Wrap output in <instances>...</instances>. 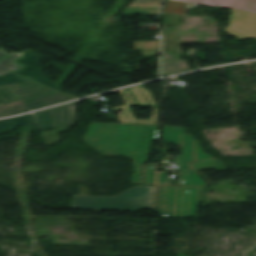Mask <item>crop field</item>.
<instances>
[{
	"label": "crop field",
	"mask_w": 256,
	"mask_h": 256,
	"mask_svg": "<svg viewBox=\"0 0 256 256\" xmlns=\"http://www.w3.org/2000/svg\"><path fill=\"white\" fill-rule=\"evenodd\" d=\"M159 126L133 124H91L84 141L105 155H123L134 159L132 183L142 184V166L152 141L158 139Z\"/></svg>",
	"instance_id": "1"
},
{
	"label": "crop field",
	"mask_w": 256,
	"mask_h": 256,
	"mask_svg": "<svg viewBox=\"0 0 256 256\" xmlns=\"http://www.w3.org/2000/svg\"><path fill=\"white\" fill-rule=\"evenodd\" d=\"M155 186H137L113 197L75 196L72 209L136 211L152 208Z\"/></svg>",
	"instance_id": "2"
},
{
	"label": "crop field",
	"mask_w": 256,
	"mask_h": 256,
	"mask_svg": "<svg viewBox=\"0 0 256 256\" xmlns=\"http://www.w3.org/2000/svg\"><path fill=\"white\" fill-rule=\"evenodd\" d=\"M205 188L159 187V217H197Z\"/></svg>",
	"instance_id": "3"
},
{
	"label": "crop field",
	"mask_w": 256,
	"mask_h": 256,
	"mask_svg": "<svg viewBox=\"0 0 256 256\" xmlns=\"http://www.w3.org/2000/svg\"><path fill=\"white\" fill-rule=\"evenodd\" d=\"M163 140L183 148L177 158L183 186H206L188 163L194 162V135L185 133V128L164 127Z\"/></svg>",
	"instance_id": "4"
},
{
	"label": "crop field",
	"mask_w": 256,
	"mask_h": 256,
	"mask_svg": "<svg viewBox=\"0 0 256 256\" xmlns=\"http://www.w3.org/2000/svg\"><path fill=\"white\" fill-rule=\"evenodd\" d=\"M70 98L72 97L61 95L55 91L48 92L2 106L0 107V116L25 112L30 109L44 107Z\"/></svg>",
	"instance_id": "5"
},
{
	"label": "crop field",
	"mask_w": 256,
	"mask_h": 256,
	"mask_svg": "<svg viewBox=\"0 0 256 256\" xmlns=\"http://www.w3.org/2000/svg\"><path fill=\"white\" fill-rule=\"evenodd\" d=\"M224 32L239 40L256 38V13L231 9L230 24Z\"/></svg>",
	"instance_id": "6"
},
{
	"label": "crop field",
	"mask_w": 256,
	"mask_h": 256,
	"mask_svg": "<svg viewBox=\"0 0 256 256\" xmlns=\"http://www.w3.org/2000/svg\"><path fill=\"white\" fill-rule=\"evenodd\" d=\"M75 103L63 107L40 112L38 127L40 130L52 129L75 123Z\"/></svg>",
	"instance_id": "7"
},
{
	"label": "crop field",
	"mask_w": 256,
	"mask_h": 256,
	"mask_svg": "<svg viewBox=\"0 0 256 256\" xmlns=\"http://www.w3.org/2000/svg\"><path fill=\"white\" fill-rule=\"evenodd\" d=\"M52 91L35 83H22L0 87V105Z\"/></svg>",
	"instance_id": "8"
},
{
	"label": "crop field",
	"mask_w": 256,
	"mask_h": 256,
	"mask_svg": "<svg viewBox=\"0 0 256 256\" xmlns=\"http://www.w3.org/2000/svg\"><path fill=\"white\" fill-rule=\"evenodd\" d=\"M18 63H22L27 65L26 69L23 72H17L19 75L24 76L30 80L35 82L41 83L45 86H48L55 90H62L50 82H48L41 74L40 69L38 67V58L37 56L31 51L27 50V54L24 56V59L18 61Z\"/></svg>",
	"instance_id": "9"
},
{
	"label": "crop field",
	"mask_w": 256,
	"mask_h": 256,
	"mask_svg": "<svg viewBox=\"0 0 256 256\" xmlns=\"http://www.w3.org/2000/svg\"><path fill=\"white\" fill-rule=\"evenodd\" d=\"M121 94L127 103L126 109L121 114V118L124 123L157 125L158 108L152 107L153 114L149 120H139L135 117V115L130 107V106L136 105V103H135L129 89L121 91Z\"/></svg>",
	"instance_id": "10"
},
{
	"label": "crop field",
	"mask_w": 256,
	"mask_h": 256,
	"mask_svg": "<svg viewBox=\"0 0 256 256\" xmlns=\"http://www.w3.org/2000/svg\"><path fill=\"white\" fill-rule=\"evenodd\" d=\"M196 4L227 7L245 11L254 12L256 9V0H182Z\"/></svg>",
	"instance_id": "11"
},
{
	"label": "crop field",
	"mask_w": 256,
	"mask_h": 256,
	"mask_svg": "<svg viewBox=\"0 0 256 256\" xmlns=\"http://www.w3.org/2000/svg\"><path fill=\"white\" fill-rule=\"evenodd\" d=\"M196 160L197 163L191 164L196 171L216 168L217 170L226 169L219 159H214L210 154H204L200 146V140H196Z\"/></svg>",
	"instance_id": "12"
},
{
	"label": "crop field",
	"mask_w": 256,
	"mask_h": 256,
	"mask_svg": "<svg viewBox=\"0 0 256 256\" xmlns=\"http://www.w3.org/2000/svg\"><path fill=\"white\" fill-rule=\"evenodd\" d=\"M24 52L17 54L11 52L9 55L0 47V75H4L12 70H21L24 66L15 63L17 58H21Z\"/></svg>",
	"instance_id": "13"
},
{
	"label": "crop field",
	"mask_w": 256,
	"mask_h": 256,
	"mask_svg": "<svg viewBox=\"0 0 256 256\" xmlns=\"http://www.w3.org/2000/svg\"><path fill=\"white\" fill-rule=\"evenodd\" d=\"M38 113L0 121V134L17 128L20 124H37Z\"/></svg>",
	"instance_id": "14"
},
{
	"label": "crop field",
	"mask_w": 256,
	"mask_h": 256,
	"mask_svg": "<svg viewBox=\"0 0 256 256\" xmlns=\"http://www.w3.org/2000/svg\"><path fill=\"white\" fill-rule=\"evenodd\" d=\"M131 91L140 105L158 106L156 99L150 90L145 89L144 85L131 88Z\"/></svg>",
	"instance_id": "15"
},
{
	"label": "crop field",
	"mask_w": 256,
	"mask_h": 256,
	"mask_svg": "<svg viewBox=\"0 0 256 256\" xmlns=\"http://www.w3.org/2000/svg\"><path fill=\"white\" fill-rule=\"evenodd\" d=\"M190 3L168 0L163 12L185 14V11Z\"/></svg>",
	"instance_id": "16"
},
{
	"label": "crop field",
	"mask_w": 256,
	"mask_h": 256,
	"mask_svg": "<svg viewBox=\"0 0 256 256\" xmlns=\"http://www.w3.org/2000/svg\"><path fill=\"white\" fill-rule=\"evenodd\" d=\"M67 129H68V127L62 128V129H58V130H55V131L43 132L41 137L44 140V142L46 143V145H50V144H53V143H55V142L60 140L58 135H57V133L67 131Z\"/></svg>",
	"instance_id": "17"
},
{
	"label": "crop field",
	"mask_w": 256,
	"mask_h": 256,
	"mask_svg": "<svg viewBox=\"0 0 256 256\" xmlns=\"http://www.w3.org/2000/svg\"><path fill=\"white\" fill-rule=\"evenodd\" d=\"M21 82H31V81H29L23 77H20L14 73L6 75L4 77H0V86L14 84V83H21Z\"/></svg>",
	"instance_id": "18"
},
{
	"label": "crop field",
	"mask_w": 256,
	"mask_h": 256,
	"mask_svg": "<svg viewBox=\"0 0 256 256\" xmlns=\"http://www.w3.org/2000/svg\"><path fill=\"white\" fill-rule=\"evenodd\" d=\"M145 184H155V164L150 163L144 167Z\"/></svg>",
	"instance_id": "19"
},
{
	"label": "crop field",
	"mask_w": 256,
	"mask_h": 256,
	"mask_svg": "<svg viewBox=\"0 0 256 256\" xmlns=\"http://www.w3.org/2000/svg\"><path fill=\"white\" fill-rule=\"evenodd\" d=\"M78 195H90L89 187L79 185Z\"/></svg>",
	"instance_id": "20"
},
{
	"label": "crop field",
	"mask_w": 256,
	"mask_h": 256,
	"mask_svg": "<svg viewBox=\"0 0 256 256\" xmlns=\"http://www.w3.org/2000/svg\"><path fill=\"white\" fill-rule=\"evenodd\" d=\"M159 185H167V176L165 172L159 173Z\"/></svg>",
	"instance_id": "21"
},
{
	"label": "crop field",
	"mask_w": 256,
	"mask_h": 256,
	"mask_svg": "<svg viewBox=\"0 0 256 256\" xmlns=\"http://www.w3.org/2000/svg\"><path fill=\"white\" fill-rule=\"evenodd\" d=\"M124 107H125V106L114 107V108H113V111L120 110V109H124Z\"/></svg>",
	"instance_id": "22"
},
{
	"label": "crop field",
	"mask_w": 256,
	"mask_h": 256,
	"mask_svg": "<svg viewBox=\"0 0 256 256\" xmlns=\"http://www.w3.org/2000/svg\"><path fill=\"white\" fill-rule=\"evenodd\" d=\"M178 1H181V0H178Z\"/></svg>",
	"instance_id": "23"
}]
</instances>
